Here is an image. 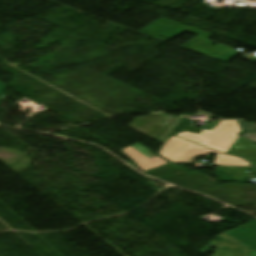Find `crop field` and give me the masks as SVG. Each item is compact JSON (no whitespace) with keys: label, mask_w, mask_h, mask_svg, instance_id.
I'll return each mask as SVG.
<instances>
[{"label":"crop field","mask_w":256,"mask_h":256,"mask_svg":"<svg viewBox=\"0 0 256 256\" xmlns=\"http://www.w3.org/2000/svg\"><path fill=\"white\" fill-rule=\"evenodd\" d=\"M228 153L241 157L256 166V144L251 141L239 137Z\"/></svg>","instance_id":"7"},{"label":"crop field","mask_w":256,"mask_h":256,"mask_svg":"<svg viewBox=\"0 0 256 256\" xmlns=\"http://www.w3.org/2000/svg\"><path fill=\"white\" fill-rule=\"evenodd\" d=\"M224 234L248 246L249 250L256 251V223L248 224V225L224 232Z\"/></svg>","instance_id":"6"},{"label":"crop field","mask_w":256,"mask_h":256,"mask_svg":"<svg viewBox=\"0 0 256 256\" xmlns=\"http://www.w3.org/2000/svg\"><path fill=\"white\" fill-rule=\"evenodd\" d=\"M4 86H5V84L0 82V97H1V94L3 92Z\"/></svg>","instance_id":"9"},{"label":"crop field","mask_w":256,"mask_h":256,"mask_svg":"<svg viewBox=\"0 0 256 256\" xmlns=\"http://www.w3.org/2000/svg\"><path fill=\"white\" fill-rule=\"evenodd\" d=\"M240 128L236 121H222L211 131L187 128L177 137L190 140L200 145L227 153L236 139Z\"/></svg>","instance_id":"2"},{"label":"crop field","mask_w":256,"mask_h":256,"mask_svg":"<svg viewBox=\"0 0 256 256\" xmlns=\"http://www.w3.org/2000/svg\"><path fill=\"white\" fill-rule=\"evenodd\" d=\"M121 151L129 157L142 172H147L168 163L139 143L121 149Z\"/></svg>","instance_id":"3"},{"label":"crop field","mask_w":256,"mask_h":256,"mask_svg":"<svg viewBox=\"0 0 256 256\" xmlns=\"http://www.w3.org/2000/svg\"><path fill=\"white\" fill-rule=\"evenodd\" d=\"M238 122L244 133L241 136L256 143V126L254 124L245 123L244 121Z\"/></svg>","instance_id":"8"},{"label":"crop field","mask_w":256,"mask_h":256,"mask_svg":"<svg viewBox=\"0 0 256 256\" xmlns=\"http://www.w3.org/2000/svg\"><path fill=\"white\" fill-rule=\"evenodd\" d=\"M209 152L217 154L214 164L225 166H251L247 161L222 154L212 149L197 145L190 141L177 138L173 135L162 146L159 155L170 160L173 163L177 162H193L195 156H206Z\"/></svg>","instance_id":"1"},{"label":"crop field","mask_w":256,"mask_h":256,"mask_svg":"<svg viewBox=\"0 0 256 256\" xmlns=\"http://www.w3.org/2000/svg\"><path fill=\"white\" fill-rule=\"evenodd\" d=\"M165 116V115H164ZM162 113L135 118L128 126L141 134L155 140L172 117H164Z\"/></svg>","instance_id":"4"},{"label":"crop field","mask_w":256,"mask_h":256,"mask_svg":"<svg viewBox=\"0 0 256 256\" xmlns=\"http://www.w3.org/2000/svg\"><path fill=\"white\" fill-rule=\"evenodd\" d=\"M218 237L225 239V241L213 240L210 243L218 248L213 256H249L248 248L246 246L224 234H221Z\"/></svg>","instance_id":"5"},{"label":"crop field","mask_w":256,"mask_h":256,"mask_svg":"<svg viewBox=\"0 0 256 256\" xmlns=\"http://www.w3.org/2000/svg\"><path fill=\"white\" fill-rule=\"evenodd\" d=\"M249 253H250V256H256V252L254 251H249Z\"/></svg>","instance_id":"10"}]
</instances>
